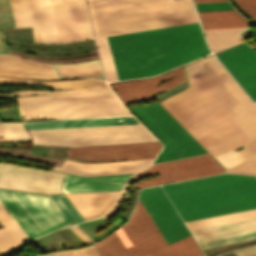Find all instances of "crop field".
Returning <instances> with one entry per match:
<instances>
[{"instance_id": "crop-field-1", "label": "crop field", "mask_w": 256, "mask_h": 256, "mask_svg": "<svg viewBox=\"0 0 256 256\" xmlns=\"http://www.w3.org/2000/svg\"><path fill=\"white\" fill-rule=\"evenodd\" d=\"M216 71L239 102L220 82L223 79ZM216 71L190 82V88L160 102L214 157L256 135V105L224 67Z\"/></svg>"}, {"instance_id": "crop-field-2", "label": "crop field", "mask_w": 256, "mask_h": 256, "mask_svg": "<svg viewBox=\"0 0 256 256\" xmlns=\"http://www.w3.org/2000/svg\"><path fill=\"white\" fill-rule=\"evenodd\" d=\"M139 200L167 244L190 235L159 186L141 190ZM140 202L121 227L133 246L126 249L115 232L95 244L100 256H203L192 235L167 245Z\"/></svg>"}, {"instance_id": "crop-field-3", "label": "crop field", "mask_w": 256, "mask_h": 256, "mask_svg": "<svg viewBox=\"0 0 256 256\" xmlns=\"http://www.w3.org/2000/svg\"><path fill=\"white\" fill-rule=\"evenodd\" d=\"M107 38L119 80L156 75L210 53L198 22Z\"/></svg>"}, {"instance_id": "crop-field-4", "label": "crop field", "mask_w": 256, "mask_h": 256, "mask_svg": "<svg viewBox=\"0 0 256 256\" xmlns=\"http://www.w3.org/2000/svg\"><path fill=\"white\" fill-rule=\"evenodd\" d=\"M60 42L92 37L85 0H51ZM16 28L32 26L34 41L59 42L50 0H10ZM8 0H0V53L10 54L1 29L15 28Z\"/></svg>"}, {"instance_id": "crop-field-5", "label": "crop field", "mask_w": 256, "mask_h": 256, "mask_svg": "<svg viewBox=\"0 0 256 256\" xmlns=\"http://www.w3.org/2000/svg\"><path fill=\"white\" fill-rule=\"evenodd\" d=\"M184 222L256 209V178L220 174L162 186Z\"/></svg>"}, {"instance_id": "crop-field-6", "label": "crop field", "mask_w": 256, "mask_h": 256, "mask_svg": "<svg viewBox=\"0 0 256 256\" xmlns=\"http://www.w3.org/2000/svg\"><path fill=\"white\" fill-rule=\"evenodd\" d=\"M22 119L131 115L112 91L17 97Z\"/></svg>"}, {"instance_id": "crop-field-7", "label": "crop field", "mask_w": 256, "mask_h": 256, "mask_svg": "<svg viewBox=\"0 0 256 256\" xmlns=\"http://www.w3.org/2000/svg\"><path fill=\"white\" fill-rule=\"evenodd\" d=\"M34 144L95 145L157 141L141 124L29 131Z\"/></svg>"}, {"instance_id": "crop-field-8", "label": "crop field", "mask_w": 256, "mask_h": 256, "mask_svg": "<svg viewBox=\"0 0 256 256\" xmlns=\"http://www.w3.org/2000/svg\"><path fill=\"white\" fill-rule=\"evenodd\" d=\"M0 202L30 239L69 225L47 195L0 189Z\"/></svg>"}, {"instance_id": "crop-field-9", "label": "crop field", "mask_w": 256, "mask_h": 256, "mask_svg": "<svg viewBox=\"0 0 256 256\" xmlns=\"http://www.w3.org/2000/svg\"><path fill=\"white\" fill-rule=\"evenodd\" d=\"M224 172L226 171L209 154H206L152 164L150 169L137 173L127 182L130 184L144 176L160 175L155 178L141 180L132 186L133 188L139 186L143 188L169 181L177 182Z\"/></svg>"}, {"instance_id": "crop-field-10", "label": "crop field", "mask_w": 256, "mask_h": 256, "mask_svg": "<svg viewBox=\"0 0 256 256\" xmlns=\"http://www.w3.org/2000/svg\"><path fill=\"white\" fill-rule=\"evenodd\" d=\"M130 109L165 145L159 155L200 147L158 103Z\"/></svg>"}, {"instance_id": "crop-field-11", "label": "crop field", "mask_w": 256, "mask_h": 256, "mask_svg": "<svg viewBox=\"0 0 256 256\" xmlns=\"http://www.w3.org/2000/svg\"><path fill=\"white\" fill-rule=\"evenodd\" d=\"M64 173L39 171L0 163V188L43 194L61 193Z\"/></svg>"}, {"instance_id": "crop-field-12", "label": "crop field", "mask_w": 256, "mask_h": 256, "mask_svg": "<svg viewBox=\"0 0 256 256\" xmlns=\"http://www.w3.org/2000/svg\"><path fill=\"white\" fill-rule=\"evenodd\" d=\"M159 142L68 148L66 156L83 161L154 158Z\"/></svg>"}, {"instance_id": "crop-field-13", "label": "crop field", "mask_w": 256, "mask_h": 256, "mask_svg": "<svg viewBox=\"0 0 256 256\" xmlns=\"http://www.w3.org/2000/svg\"><path fill=\"white\" fill-rule=\"evenodd\" d=\"M216 56L256 102V52L243 43Z\"/></svg>"}, {"instance_id": "crop-field-14", "label": "crop field", "mask_w": 256, "mask_h": 256, "mask_svg": "<svg viewBox=\"0 0 256 256\" xmlns=\"http://www.w3.org/2000/svg\"><path fill=\"white\" fill-rule=\"evenodd\" d=\"M178 75V76H176ZM176 76V77H174ZM174 77L156 87L160 82ZM183 68L176 69L153 79L115 83L112 86L121 96L125 103H131L153 98V94L166 91L174 86L185 82Z\"/></svg>"}, {"instance_id": "crop-field-15", "label": "crop field", "mask_w": 256, "mask_h": 256, "mask_svg": "<svg viewBox=\"0 0 256 256\" xmlns=\"http://www.w3.org/2000/svg\"><path fill=\"white\" fill-rule=\"evenodd\" d=\"M151 161L152 159L106 163H81L65 160L61 168L55 167L53 170L84 176L126 174L136 173L146 167H149Z\"/></svg>"}, {"instance_id": "crop-field-16", "label": "crop field", "mask_w": 256, "mask_h": 256, "mask_svg": "<svg viewBox=\"0 0 256 256\" xmlns=\"http://www.w3.org/2000/svg\"><path fill=\"white\" fill-rule=\"evenodd\" d=\"M131 175H110L96 177H76L66 175L62 185L63 192L109 191L120 189Z\"/></svg>"}, {"instance_id": "crop-field-17", "label": "crop field", "mask_w": 256, "mask_h": 256, "mask_svg": "<svg viewBox=\"0 0 256 256\" xmlns=\"http://www.w3.org/2000/svg\"><path fill=\"white\" fill-rule=\"evenodd\" d=\"M111 192H119V191H111ZM111 192L76 193V194H65V195L71 201V203L75 206V208L79 211V213L84 217V219L87 220V217L88 219H90V218L101 215V213L111 204L112 200L116 195V193L100 194V195H93V194L111 193ZM117 196L115 197V199L117 198ZM80 208L82 209V211L85 213L87 217L84 215V213L81 211Z\"/></svg>"}, {"instance_id": "crop-field-18", "label": "crop field", "mask_w": 256, "mask_h": 256, "mask_svg": "<svg viewBox=\"0 0 256 256\" xmlns=\"http://www.w3.org/2000/svg\"><path fill=\"white\" fill-rule=\"evenodd\" d=\"M132 123H138L134 117L66 120V121H52V122H42V123H24V125L27 130H36V129H52V128H68V127L132 124Z\"/></svg>"}, {"instance_id": "crop-field-19", "label": "crop field", "mask_w": 256, "mask_h": 256, "mask_svg": "<svg viewBox=\"0 0 256 256\" xmlns=\"http://www.w3.org/2000/svg\"><path fill=\"white\" fill-rule=\"evenodd\" d=\"M203 28H236L250 25L236 10L198 12Z\"/></svg>"}, {"instance_id": "crop-field-20", "label": "crop field", "mask_w": 256, "mask_h": 256, "mask_svg": "<svg viewBox=\"0 0 256 256\" xmlns=\"http://www.w3.org/2000/svg\"><path fill=\"white\" fill-rule=\"evenodd\" d=\"M0 57L10 58V59H14V60L22 61V62L25 61V62H28V63L37 64V65H41V66H47L48 65V67H49V69H50V71L52 73V74H46V73H50V71L39 70L40 68L48 69V67H40V66H36V65H32V64H27V63H22V62L10 60V59L0 58V60H10V61H14V62H18V63H22V64L34 66V67H40V68L39 69H34V68H29V67H25V66L9 63V62L0 61V63H3V64H8V65H13V66H17V67H22V68H26V69H30V70H34V71H38V72H46V73H38V72H34V71H29V70H25V69H21V68H17V67H12V66H8V65L0 64V75L16 76V77H27V78H39V79H57V77H56V75H55L51 65H49V64L46 65V64L34 63V62H31V61L19 59V58L12 57V56L0 55Z\"/></svg>"}, {"instance_id": "crop-field-21", "label": "crop field", "mask_w": 256, "mask_h": 256, "mask_svg": "<svg viewBox=\"0 0 256 256\" xmlns=\"http://www.w3.org/2000/svg\"><path fill=\"white\" fill-rule=\"evenodd\" d=\"M52 65L60 77L92 76L105 80L99 59L74 64Z\"/></svg>"}, {"instance_id": "crop-field-22", "label": "crop field", "mask_w": 256, "mask_h": 256, "mask_svg": "<svg viewBox=\"0 0 256 256\" xmlns=\"http://www.w3.org/2000/svg\"><path fill=\"white\" fill-rule=\"evenodd\" d=\"M0 223L4 228L0 229V238L11 250H15L22 243L30 240L19 225L11 218L0 203Z\"/></svg>"}, {"instance_id": "crop-field-23", "label": "crop field", "mask_w": 256, "mask_h": 256, "mask_svg": "<svg viewBox=\"0 0 256 256\" xmlns=\"http://www.w3.org/2000/svg\"><path fill=\"white\" fill-rule=\"evenodd\" d=\"M2 82L22 83L31 85L41 86H54V87H72V88H95V87H107L105 82L98 81L92 78L80 79V80H50V81H39L31 79L21 78H2Z\"/></svg>"}, {"instance_id": "crop-field-24", "label": "crop field", "mask_w": 256, "mask_h": 256, "mask_svg": "<svg viewBox=\"0 0 256 256\" xmlns=\"http://www.w3.org/2000/svg\"><path fill=\"white\" fill-rule=\"evenodd\" d=\"M242 29L244 28L216 29L204 31L212 51H216L241 40V38L237 36V32Z\"/></svg>"}, {"instance_id": "crop-field-25", "label": "crop field", "mask_w": 256, "mask_h": 256, "mask_svg": "<svg viewBox=\"0 0 256 256\" xmlns=\"http://www.w3.org/2000/svg\"><path fill=\"white\" fill-rule=\"evenodd\" d=\"M254 217H256V210H250V211H245V212H240L235 214H229V215H224V216H219L214 218L187 222L186 225L189 228V230H192V229L208 227V226H213V225H218V224H223L228 222H234V221H239V220H244V219H249Z\"/></svg>"}, {"instance_id": "crop-field-26", "label": "crop field", "mask_w": 256, "mask_h": 256, "mask_svg": "<svg viewBox=\"0 0 256 256\" xmlns=\"http://www.w3.org/2000/svg\"><path fill=\"white\" fill-rule=\"evenodd\" d=\"M253 239H256V229L235 233V234H230V235H225V236H220V237L199 240L198 243L200 244L202 249H205V248H211V247L243 242V241H248Z\"/></svg>"}, {"instance_id": "crop-field-27", "label": "crop field", "mask_w": 256, "mask_h": 256, "mask_svg": "<svg viewBox=\"0 0 256 256\" xmlns=\"http://www.w3.org/2000/svg\"><path fill=\"white\" fill-rule=\"evenodd\" d=\"M190 12L163 17L165 21L146 23L144 29L159 28L197 21L191 0H186Z\"/></svg>"}, {"instance_id": "crop-field-28", "label": "crop field", "mask_w": 256, "mask_h": 256, "mask_svg": "<svg viewBox=\"0 0 256 256\" xmlns=\"http://www.w3.org/2000/svg\"><path fill=\"white\" fill-rule=\"evenodd\" d=\"M97 45L102 60L103 68L105 71L106 79L108 81L118 80L116 71L114 68L113 60L111 57L110 49L108 46L107 38H97Z\"/></svg>"}, {"instance_id": "crop-field-29", "label": "crop field", "mask_w": 256, "mask_h": 256, "mask_svg": "<svg viewBox=\"0 0 256 256\" xmlns=\"http://www.w3.org/2000/svg\"><path fill=\"white\" fill-rule=\"evenodd\" d=\"M70 224L84 221L64 194L48 195Z\"/></svg>"}, {"instance_id": "crop-field-30", "label": "crop field", "mask_w": 256, "mask_h": 256, "mask_svg": "<svg viewBox=\"0 0 256 256\" xmlns=\"http://www.w3.org/2000/svg\"><path fill=\"white\" fill-rule=\"evenodd\" d=\"M220 66L222 65L214 56L190 64L185 67L188 81H191Z\"/></svg>"}, {"instance_id": "crop-field-31", "label": "crop field", "mask_w": 256, "mask_h": 256, "mask_svg": "<svg viewBox=\"0 0 256 256\" xmlns=\"http://www.w3.org/2000/svg\"><path fill=\"white\" fill-rule=\"evenodd\" d=\"M4 141L30 140L21 123L3 124Z\"/></svg>"}, {"instance_id": "crop-field-32", "label": "crop field", "mask_w": 256, "mask_h": 256, "mask_svg": "<svg viewBox=\"0 0 256 256\" xmlns=\"http://www.w3.org/2000/svg\"><path fill=\"white\" fill-rule=\"evenodd\" d=\"M229 172L256 175V155L230 167Z\"/></svg>"}, {"instance_id": "crop-field-33", "label": "crop field", "mask_w": 256, "mask_h": 256, "mask_svg": "<svg viewBox=\"0 0 256 256\" xmlns=\"http://www.w3.org/2000/svg\"><path fill=\"white\" fill-rule=\"evenodd\" d=\"M206 153L207 152L204 151L202 148H199V149H193V150L171 153V154H166V155H160V156H157L154 163L166 161V160L183 158V157H189V156H194V155L206 154Z\"/></svg>"}, {"instance_id": "crop-field-34", "label": "crop field", "mask_w": 256, "mask_h": 256, "mask_svg": "<svg viewBox=\"0 0 256 256\" xmlns=\"http://www.w3.org/2000/svg\"><path fill=\"white\" fill-rule=\"evenodd\" d=\"M198 11L233 9L229 2L195 4Z\"/></svg>"}, {"instance_id": "crop-field-35", "label": "crop field", "mask_w": 256, "mask_h": 256, "mask_svg": "<svg viewBox=\"0 0 256 256\" xmlns=\"http://www.w3.org/2000/svg\"><path fill=\"white\" fill-rule=\"evenodd\" d=\"M110 90L109 88L99 89H81V90H66V91H17L13 92L12 96L23 95V94H35V93H63V92H88V91H104Z\"/></svg>"}, {"instance_id": "crop-field-36", "label": "crop field", "mask_w": 256, "mask_h": 256, "mask_svg": "<svg viewBox=\"0 0 256 256\" xmlns=\"http://www.w3.org/2000/svg\"><path fill=\"white\" fill-rule=\"evenodd\" d=\"M245 149L237 151L240 153L245 159L256 154V138L242 144ZM241 146V145H240ZM239 147V146H238ZM237 148V147H236Z\"/></svg>"}, {"instance_id": "crop-field-37", "label": "crop field", "mask_w": 256, "mask_h": 256, "mask_svg": "<svg viewBox=\"0 0 256 256\" xmlns=\"http://www.w3.org/2000/svg\"><path fill=\"white\" fill-rule=\"evenodd\" d=\"M240 6L256 19V0H236Z\"/></svg>"}, {"instance_id": "crop-field-38", "label": "crop field", "mask_w": 256, "mask_h": 256, "mask_svg": "<svg viewBox=\"0 0 256 256\" xmlns=\"http://www.w3.org/2000/svg\"><path fill=\"white\" fill-rule=\"evenodd\" d=\"M128 185H129V184L126 182V184H125V186H124V188H123V190H122V192H121V194H120L118 200L116 201V203H115V204L109 209V211H108L104 216H102V217L105 218V217L117 206L118 202L120 201L121 197L123 196V194H124V192H125V190H126V188H127ZM129 194H130V193H129ZM127 195H128V192H126V194H125V196H124L122 202L120 203V205L113 211V213L107 218V220H109L112 216H114V215L119 211V209L122 207V205H123V203H124V201H125ZM128 196H129V195H128ZM105 219H106V218H105Z\"/></svg>"}, {"instance_id": "crop-field-39", "label": "crop field", "mask_w": 256, "mask_h": 256, "mask_svg": "<svg viewBox=\"0 0 256 256\" xmlns=\"http://www.w3.org/2000/svg\"><path fill=\"white\" fill-rule=\"evenodd\" d=\"M235 256H256V245L234 251Z\"/></svg>"}, {"instance_id": "crop-field-40", "label": "crop field", "mask_w": 256, "mask_h": 256, "mask_svg": "<svg viewBox=\"0 0 256 256\" xmlns=\"http://www.w3.org/2000/svg\"><path fill=\"white\" fill-rule=\"evenodd\" d=\"M75 256H98L93 247L73 251Z\"/></svg>"}, {"instance_id": "crop-field-41", "label": "crop field", "mask_w": 256, "mask_h": 256, "mask_svg": "<svg viewBox=\"0 0 256 256\" xmlns=\"http://www.w3.org/2000/svg\"><path fill=\"white\" fill-rule=\"evenodd\" d=\"M87 245L92 244V241L83 234L76 226L70 227Z\"/></svg>"}, {"instance_id": "crop-field-42", "label": "crop field", "mask_w": 256, "mask_h": 256, "mask_svg": "<svg viewBox=\"0 0 256 256\" xmlns=\"http://www.w3.org/2000/svg\"><path fill=\"white\" fill-rule=\"evenodd\" d=\"M117 234L119 235V237L121 238L122 242L124 243V245L127 247L131 246V243L129 242V240L127 239V237L125 236V234L123 233V231L121 230V228L116 231ZM119 238V239H120Z\"/></svg>"}, {"instance_id": "crop-field-43", "label": "crop field", "mask_w": 256, "mask_h": 256, "mask_svg": "<svg viewBox=\"0 0 256 256\" xmlns=\"http://www.w3.org/2000/svg\"><path fill=\"white\" fill-rule=\"evenodd\" d=\"M44 256H74V255L72 251H68V252H59V253H54V254H49Z\"/></svg>"}, {"instance_id": "crop-field-44", "label": "crop field", "mask_w": 256, "mask_h": 256, "mask_svg": "<svg viewBox=\"0 0 256 256\" xmlns=\"http://www.w3.org/2000/svg\"><path fill=\"white\" fill-rule=\"evenodd\" d=\"M0 251L2 252L3 255H6L8 253H11L9 251V249L6 247V245L2 242V240L0 239Z\"/></svg>"}, {"instance_id": "crop-field-45", "label": "crop field", "mask_w": 256, "mask_h": 256, "mask_svg": "<svg viewBox=\"0 0 256 256\" xmlns=\"http://www.w3.org/2000/svg\"><path fill=\"white\" fill-rule=\"evenodd\" d=\"M220 1H228V0H194L195 3H203V2H220Z\"/></svg>"}, {"instance_id": "crop-field-46", "label": "crop field", "mask_w": 256, "mask_h": 256, "mask_svg": "<svg viewBox=\"0 0 256 256\" xmlns=\"http://www.w3.org/2000/svg\"><path fill=\"white\" fill-rule=\"evenodd\" d=\"M0 136H3L1 124H0Z\"/></svg>"}, {"instance_id": "crop-field-47", "label": "crop field", "mask_w": 256, "mask_h": 256, "mask_svg": "<svg viewBox=\"0 0 256 256\" xmlns=\"http://www.w3.org/2000/svg\"><path fill=\"white\" fill-rule=\"evenodd\" d=\"M0 256H2V254Z\"/></svg>"}]
</instances>
